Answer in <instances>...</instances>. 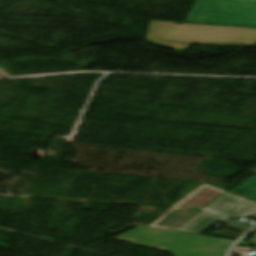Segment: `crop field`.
Returning <instances> with one entry per match:
<instances>
[{
	"mask_svg": "<svg viewBox=\"0 0 256 256\" xmlns=\"http://www.w3.org/2000/svg\"><path fill=\"white\" fill-rule=\"evenodd\" d=\"M230 215L246 216L256 219V204L231 194L225 193L204 209L198 216L185 225L180 231L201 234L215 222L228 225L226 228L246 232L252 227L225 219ZM249 227V228H248Z\"/></svg>",
	"mask_w": 256,
	"mask_h": 256,
	"instance_id": "obj_3",
	"label": "crop field"
},
{
	"mask_svg": "<svg viewBox=\"0 0 256 256\" xmlns=\"http://www.w3.org/2000/svg\"><path fill=\"white\" fill-rule=\"evenodd\" d=\"M250 172L256 174V168H254V169H253L252 171H250Z\"/></svg>",
	"mask_w": 256,
	"mask_h": 256,
	"instance_id": "obj_5",
	"label": "crop field"
},
{
	"mask_svg": "<svg viewBox=\"0 0 256 256\" xmlns=\"http://www.w3.org/2000/svg\"><path fill=\"white\" fill-rule=\"evenodd\" d=\"M186 22L256 28V0H197Z\"/></svg>",
	"mask_w": 256,
	"mask_h": 256,
	"instance_id": "obj_2",
	"label": "crop field"
},
{
	"mask_svg": "<svg viewBox=\"0 0 256 256\" xmlns=\"http://www.w3.org/2000/svg\"><path fill=\"white\" fill-rule=\"evenodd\" d=\"M114 240L174 253L175 256H224L231 240L139 226Z\"/></svg>",
	"mask_w": 256,
	"mask_h": 256,
	"instance_id": "obj_1",
	"label": "crop field"
},
{
	"mask_svg": "<svg viewBox=\"0 0 256 256\" xmlns=\"http://www.w3.org/2000/svg\"><path fill=\"white\" fill-rule=\"evenodd\" d=\"M252 241H256V236H255V238Z\"/></svg>",
	"mask_w": 256,
	"mask_h": 256,
	"instance_id": "obj_6",
	"label": "crop field"
},
{
	"mask_svg": "<svg viewBox=\"0 0 256 256\" xmlns=\"http://www.w3.org/2000/svg\"><path fill=\"white\" fill-rule=\"evenodd\" d=\"M241 244H245V245H250V246H256V243H252V242H245V241H241ZM246 256H256V247L253 250L252 254L250 255H246Z\"/></svg>",
	"mask_w": 256,
	"mask_h": 256,
	"instance_id": "obj_4",
	"label": "crop field"
}]
</instances>
